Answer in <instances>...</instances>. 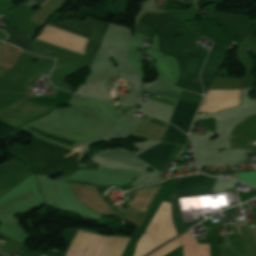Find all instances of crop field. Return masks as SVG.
<instances>
[{
  "instance_id": "crop-field-1",
  "label": "crop field",
  "mask_w": 256,
  "mask_h": 256,
  "mask_svg": "<svg viewBox=\"0 0 256 256\" xmlns=\"http://www.w3.org/2000/svg\"><path fill=\"white\" fill-rule=\"evenodd\" d=\"M128 241L78 231L66 256H121Z\"/></svg>"
},
{
  "instance_id": "crop-field-7",
  "label": "crop field",
  "mask_w": 256,
  "mask_h": 256,
  "mask_svg": "<svg viewBox=\"0 0 256 256\" xmlns=\"http://www.w3.org/2000/svg\"><path fill=\"white\" fill-rule=\"evenodd\" d=\"M15 45L25 49L26 46L29 44V42L31 41L32 37L27 36L25 34L19 33L17 31L11 30L9 28H7Z\"/></svg>"
},
{
  "instance_id": "crop-field-10",
  "label": "crop field",
  "mask_w": 256,
  "mask_h": 256,
  "mask_svg": "<svg viewBox=\"0 0 256 256\" xmlns=\"http://www.w3.org/2000/svg\"><path fill=\"white\" fill-rule=\"evenodd\" d=\"M43 0H27L24 4H26L28 7H30L31 9L35 6H37L38 4H40ZM45 1V0H44ZM43 1V2H44ZM47 1V0H46ZM42 2V3H43ZM39 6V5H38ZM42 6V5H41Z\"/></svg>"
},
{
  "instance_id": "crop-field-4",
  "label": "crop field",
  "mask_w": 256,
  "mask_h": 256,
  "mask_svg": "<svg viewBox=\"0 0 256 256\" xmlns=\"http://www.w3.org/2000/svg\"><path fill=\"white\" fill-rule=\"evenodd\" d=\"M174 145L161 144L139 155L137 158L147 162L157 171H161L164 163L168 159ZM146 163V164H147Z\"/></svg>"
},
{
  "instance_id": "crop-field-11",
  "label": "crop field",
  "mask_w": 256,
  "mask_h": 256,
  "mask_svg": "<svg viewBox=\"0 0 256 256\" xmlns=\"http://www.w3.org/2000/svg\"><path fill=\"white\" fill-rule=\"evenodd\" d=\"M197 222H188V223H183L187 228L191 227L192 225L196 224Z\"/></svg>"
},
{
  "instance_id": "crop-field-12",
  "label": "crop field",
  "mask_w": 256,
  "mask_h": 256,
  "mask_svg": "<svg viewBox=\"0 0 256 256\" xmlns=\"http://www.w3.org/2000/svg\"><path fill=\"white\" fill-rule=\"evenodd\" d=\"M248 34L256 37V28L255 29L253 28Z\"/></svg>"
},
{
  "instance_id": "crop-field-13",
  "label": "crop field",
  "mask_w": 256,
  "mask_h": 256,
  "mask_svg": "<svg viewBox=\"0 0 256 256\" xmlns=\"http://www.w3.org/2000/svg\"><path fill=\"white\" fill-rule=\"evenodd\" d=\"M156 100H159V101H163V102H166V103H168V101H165V100H161V99H158V98H156Z\"/></svg>"
},
{
  "instance_id": "crop-field-9",
  "label": "crop field",
  "mask_w": 256,
  "mask_h": 256,
  "mask_svg": "<svg viewBox=\"0 0 256 256\" xmlns=\"http://www.w3.org/2000/svg\"><path fill=\"white\" fill-rule=\"evenodd\" d=\"M99 45H100V42L97 39L96 34L93 33V35L91 36V39L87 45V48H86V56H90V57L94 58L97 53Z\"/></svg>"
},
{
  "instance_id": "crop-field-6",
  "label": "crop field",
  "mask_w": 256,
  "mask_h": 256,
  "mask_svg": "<svg viewBox=\"0 0 256 256\" xmlns=\"http://www.w3.org/2000/svg\"><path fill=\"white\" fill-rule=\"evenodd\" d=\"M186 140L187 137L184 134H182L175 127L168 125L162 142L184 144Z\"/></svg>"
},
{
  "instance_id": "crop-field-15",
  "label": "crop field",
  "mask_w": 256,
  "mask_h": 256,
  "mask_svg": "<svg viewBox=\"0 0 256 256\" xmlns=\"http://www.w3.org/2000/svg\"><path fill=\"white\" fill-rule=\"evenodd\" d=\"M121 78V77H120Z\"/></svg>"
},
{
  "instance_id": "crop-field-3",
  "label": "crop field",
  "mask_w": 256,
  "mask_h": 256,
  "mask_svg": "<svg viewBox=\"0 0 256 256\" xmlns=\"http://www.w3.org/2000/svg\"><path fill=\"white\" fill-rule=\"evenodd\" d=\"M198 105L179 99L171 116L170 123L177 125L187 133Z\"/></svg>"
},
{
  "instance_id": "crop-field-14",
  "label": "crop field",
  "mask_w": 256,
  "mask_h": 256,
  "mask_svg": "<svg viewBox=\"0 0 256 256\" xmlns=\"http://www.w3.org/2000/svg\"><path fill=\"white\" fill-rule=\"evenodd\" d=\"M254 224H256V223L249 224L248 226H250V225H254Z\"/></svg>"
},
{
  "instance_id": "crop-field-5",
  "label": "crop field",
  "mask_w": 256,
  "mask_h": 256,
  "mask_svg": "<svg viewBox=\"0 0 256 256\" xmlns=\"http://www.w3.org/2000/svg\"><path fill=\"white\" fill-rule=\"evenodd\" d=\"M47 25L87 40L93 32V30L87 24L83 23L79 19L52 21L49 22Z\"/></svg>"
},
{
  "instance_id": "crop-field-2",
  "label": "crop field",
  "mask_w": 256,
  "mask_h": 256,
  "mask_svg": "<svg viewBox=\"0 0 256 256\" xmlns=\"http://www.w3.org/2000/svg\"><path fill=\"white\" fill-rule=\"evenodd\" d=\"M217 178H210L203 174L178 178L171 195L173 213L181 218L176 197L190 196L192 194H203L212 191Z\"/></svg>"
},
{
  "instance_id": "crop-field-8",
  "label": "crop field",
  "mask_w": 256,
  "mask_h": 256,
  "mask_svg": "<svg viewBox=\"0 0 256 256\" xmlns=\"http://www.w3.org/2000/svg\"><path fill=\"white\" fill-rule=\"evenodd\" d=\"M27 51H30L32 53H35V54H39V55H43V56H51V57H55L57 54H59V52L57 51H54V50H51V49H48V48H44V47H41L39 45H36L34 43H31L29 45V47L27 48Z\"/></svg>"
}]
</instances>
